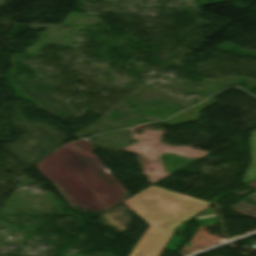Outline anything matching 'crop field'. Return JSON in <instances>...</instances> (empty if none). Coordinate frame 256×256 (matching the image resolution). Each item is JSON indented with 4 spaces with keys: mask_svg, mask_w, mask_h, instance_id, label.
<instances>
[{
    "mask_svg": "<svg viewBox=\"0 0 256 256\" xmlns=\"http://www.w3.org/2000/svg\"><path fill=\"white\" fill-rule=\"evenodd\" d=\"M133 197L152 212L142 218L150 226L131 252L137 256H159L178 226L213 205L154 185Z\"/></svg>",
    "mask_w": 256,
    "mask_h": 256,
    "instance_id": "crop-field-1",
    "label": "crop field"
},
{
    "mask_svg": "<svg viewBox=\"0 0 256 256\" xmlns=\"http://www.w3.org/2000/svg\"><path fill=\"white\" fill-rule=\"evenodd\" d=\"M123 203L125 205H127L131 210H133L141 218L146 216L147 214L151 213L143 205H141L137 200H135L133 197Z\"/></svg>",
    "mask_w": 256,
    "mask_h": 256,
    "instance_id": "crop-field-2",
    "label": "crop field"
},
{
    "mask_svg": "<svg viewBox=\"0 0 256 256\" xmlns=\"http://www.w3.org/2000/svg\"><path fill=\"white\" fill-rule=\"evenodd\" d=\"M129 256H133V255H129Z\"/></svg>",
    "mask_w": 256,
    "mask_h": 256,
    "instance_id": "crop-field-3",
    "label": "crop field"
}]
</instances>
